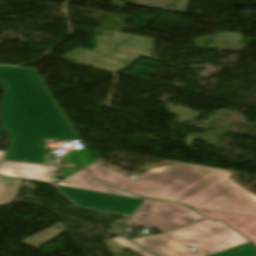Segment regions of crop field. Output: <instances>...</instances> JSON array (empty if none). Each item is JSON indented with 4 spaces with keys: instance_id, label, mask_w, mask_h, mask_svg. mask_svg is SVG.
Returning a JSON list of instances; mask_svg holds the SVG:
<instances>
[{
    "instance_id": "8a807250",
    "label": "crop field",
    "mask_w": 256,
    "mask_h": 256,
    "mask_svg": "<svg viewBox=\"0 0 256 256\" xmlns=\"http://www.w3.org/2000/svg\"><path fill=\"white\" fill-rule=\"evenodd\" d=\"M0 83V122L8 137L4 159L41 164L43 140L78 139L35 69L0 67Z\"/></svg>"
},
{
    "instance_id": "ac0d7876",
    "label": "crop field",
    "mask_w": 256,
    "mask_h": 256,
    "mask_svg": "<svg viewBox=\"0 0 256 256\" xmlns=\"http://www.w3.org/2000/svg\"><path fill=\"white\" fill-rule=\"evenodd\" d=\"M224 170L173 163L148 171L123 190L191 207L256 217V195L228 179Z\"/></svg>"
},
{
    "instance_id": "34b2d1b8",
    "label": "crop field",
    "mask_w": 256,
    "mask_h": 256,
    "mask_svg": "<svg viewBox=\"0 0 256 256\" xmlns=\"http://www.w3.org/2000/svg\"><path fill=\"white\" fill-rule=\"evenodd\" d=\"M133 241L160 256H209L249 242L223 222L209 219L162 235H150ZM189 247L198 252L189 250Z\"/></svg>"
},
{
    "instance_id": "412701ff",
    "label": "crop field",
    "mask_w": 256,
    "mask_h": 256,
    "mask_svg": "<svg viewBox=\"0 0 256 256\" xmlns=\"http://www.w3.org/2000/svg\"><path fill=\"white\" fill-rule=\"evenodd\" d=\"M206 219L193 210L177 205L144 200L130 220L164 233Z\"/></svg>"
},
{
    "instance_id": "f4fd0767",
    "label": "crop field",
    "mask_w": 256,
    "mask_h": 256,
    "mask_svg": "<svg viewBox=\"0 0 256 256\" xmlns=\"http://www.w3.org/2000/svg\"><path fill=\"white\" fill-rule=\"evenodd\" d=\"M56 186V185H55ZM76 205L132 215L143 200L56 186Z\"/></svg>"
},
{
    "instance_id": "dd49c442",
    "label": "crop field",
    "mask_w": 256,
    "mask_h": 256,
    "mask_svg": "<svg viewBox=\"0 0 256 256\" xmlns=\"http://www.w3.org/2000/svg\"><path fill=\"white\" fill-rule=\"evenodd\" d=\"M56 170V167L33 165L17 162L3 161L0 163V174L44 181L52 183L53 179L48 176L49 173Z\"/></svg>"
},
{
    "instance_id": "e52e79f7",
    "label": "crop field",
    "mask_w": 256,
    "mask_h": 256,
    "mask_svg": "<svg viewBox=\"0 0 256 256\" xmlns=\"http://www.w3.org/2000/svg\"><path fill=\"white\" fill-rule=\"evenodd\" d=\"M57 184L60 186H66L71 188L104 192V193L116 194V195H121L126 197L143 199L142 197H138L133 194L127 193L125 191L118 190L112 186H109L107 184L94 180L91 177L88 170H81Z\"/></svg>"
},
{
    "instance_id": "d8731c3e",
    "label": "crop field",
    "mask_w": 256,
    "mask_h": 256,
    "mask_svg": "<svg viewBox=\"0 0 256 256\" xmlns=\"http://www.w3.org/2000/svg\"><path fill=\"white\" fill-rule=\"evenodd\" d=\"M194 210L210 219L224 221L256 244V218L196 208Z\"/></svg>"
},
{
    "instance_id": "5a996713",
    "label": "crop field",
    "mask_w": 256,
    "mask_h": 256,
    "mask_svg": "<svg viewBox=\"0 0 256 256\" xmlns=\"http://www.w3.org/2000/svg\"><path fill=\"white\" fill-rule=\"evenodd\" d=\"M86 168L91 170V172L95 178H97L103 182H106L108 184H111L113 186H116L118 188L124 186L125 184H127L133 180L127 176H124L120 173H117L108 168L100 166L96 163H94Z\"/></svg>"
},
{
    "instance_id": "3316defc",
    "label": "crop field",
    "mask_w": 256,
    "mask_h": 256,
    "mask_svg": "<svg viewBox=\"0 0 256 256\" xmlns=\"http://www.w3.org/2000/svg\"><path fill=\"white\" fill-rule=\"evenodd\" d=\"M23 181L0 177V205L13 201Z\"/></svg>"
},
{
    "instance_id": "28ad6ade",
    "label": "crop field",
    "mask_w": 256,
    "mask_h": 256,
    "mask_svg": "<svg viewBox=\"0 0 256 256\" xmlns=\"http://www.w3.org/2000/svg\"><path fill=\"white\" fill-rule=\"evenodd\" d=\"M212 256H256V247L249 242Z\"/></svg>"
},
{
    "instance_id": "d1516ede",
    "label": "crop field",
    "mask_w": 256,
    "mask_h": 256,
    "mask_svg": "<svg viewBox=\"0 0 256 256\" xmlns=\"http://www.w3.org/2000/svg\"><path fill=\"white\" fill-rule=\"evenodd\" d=\"M112 240L140 256H155V255L151 254L150 252L144 250L143 248L137 246L136 244L130 242L129 240L125 239L123 236L113 238Z\"/></svg>"
},
{
    "instance_id": "22f410ed",
    "label": "crop field",
    "mask_w": 256,
    "mask_h": 256,
    "mask_svg": "<svg viewBox=\"0 0 256 256\" xmlns=\"http://www.w3.org/2000/svg\"><path fill=\"white\" fill-rule=\"evenodd\" d=\"M80 151H86V149L71 151V152H69V153H72V152L75 153V152H76L77 155H78V157L80 158V160L82 161V163H83L84 166L81 165V164H72V163H65L64 166H66V167H78V168H83V167L89 165V164L87 163V161L85 160V158L83 157V155L81 154ZM67 154H68V153H67ZM60 163H62V162H60Z\"/></svg>"
},
{
    "instance_id": "cbeb9de0",
    "label": "crop field",
    "mask_w": 256,
    "mask_h": 256,
    "mask_svg": "<svg viewBox=\"0 0 256 256\" xmlns=\"http://www.w3.org/2000/svg\"><path fill=\"white\" fill-rule=\"evenodd\" d=\"M58 170H62L63 173L57 175L56 177L62 178V179H65V178L69 177L70 175L79 171L78 169H70V168H62V167H59Z\"/></svg>"
},
{
    "instance_id": "5142ce71",
    "label": "crop field",
    "mask_w": 256,
    "mask_h": 256,
    "mask_svg": "<svg viewBox=\"0 0 256 256\" xmlns=\"http://www.w3.org/2000/svg\"><path fill=\"white\" fill-rule=\"evenodd\" d=\"M4 153H5V152H0V160H2V159H3V157H4Z\"/></svg>"
}]
</instances>
